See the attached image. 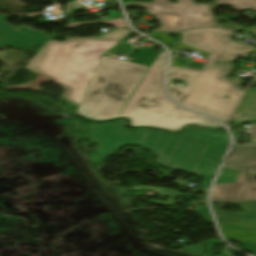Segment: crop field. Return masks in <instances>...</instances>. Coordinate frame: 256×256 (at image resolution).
I'll use <instances>...</instances> for the list:
<instances>
[{
    "label": "crop field",
    "instance_id": "5a996713",
    "mask_svg": "<svg viewBox=\"0 0 256 256\" xmlns=\"http://www.w3.org/2000/svg\"><path fill=\"white\" fill-rule=\"evenodd\" d=\"M242 184L243 183L215 185L212 192L211 201L230 202Z\"/></svg>",
    "mask_w": 256,
    "mask_h": 256
},
{
    "label": "crop field",
    "instance_id": "d8731c3e",
    "mask_svg": "<svg viewBox=\"0 0 256 256\" xmlns=\"http://www.w3.org/2000/svg\"><path fill=\"white\" fill-rule=\"evenodd\" d=\"M254 120L256 121V89L249 88L246 96L234 116V124Z\"/></svg>",
    "mask_w": 256,
    "mask_h": 256
},
{
    "label": "crop field",
    "instance_id": "5142ce71",
    "mask_svg": "<svg viewBox=\"0 0 256 256\" xmlns=\"http://www.w3.org/2000/svg\"><path fill=\"white\" fill-rule=\"evenodd\" d=\"M250 129H251V138H255L256 139V124L255 123H252L250 125Z\"/></svg>",
    "mask_w": 256,
    "mask_h": 256
},
{
    "label": "crop field",
    "instance_id": "dd49c442",
    "mask_svg": "<svg viewBox=\"0 0 256 256\" xmlns=\"http://www.w3.org/2000/svg\"><path fill=\"white\" fill-rule=\"evenodd\" d=\"M142 6L162 23V31H174L197 26H214L207 5H194L191 0H153Z\"/></svg>",
    "mask_w": 256,
    "mask_h": 256
},
{
    "label": "crop field",
    "instance_id": "412701ff",
    "mask_svg": "<svg viewBox=\"0 0 256 256\" xmlns=\"http://www.w3.org/2000/svg\"><path fill=\"white\" fill-rule=\"evenodd\" d=\"M166 61V51L161 50L118 117L130 119L131 126H151L172 131L187 123L219 127L213 120L182 109L167 99L162 87Z\"/></svg>",
    "mask_w": 256,
    "mask_h": 256
},
{
    "label": "crop field",
    "instance_id": "28ad6ade",
    "mask_svg": "<svg viewBox=\"0 0 256 256\" xmlns=\"http://www.w3.org/2000/svg\"><path fill=\"white\" fill-rule=\"evenodd\" d=\"M248 52L256 54V47L230 41L222 60L233 61L236 56L245 57Z\"/></svg>",
    "mask_w": 256,
    "mask_h": 256
},
{
    "label": "crop field",
    "instance_id": "34b2d1b8",
    "mask_svg": "<svg viewBox=\"0 0 256 256\" xmlns=\"http://www.w3.org/2000/svg\"><path fill=\"white\" fill-rule=\"evenodd\" d=\"M130 32L116 30L100 38H68L64 43L49 40L26 69L68 88L63 97L78 106L102 54Z\"/></svg>",
    "mask_w": 256,
    "mask_h": 256
},
{
    "label": "crop field",
    "instance_id": "22f410ed",
    "mask_svg": "<svg viewBox=\"0 0 256 256\" xmlns=\"http://www.w3.org/2000/svg\"><path fill=\"white\" fill-rule=\"evenodd\" d=\"M240 171L222 168L215 184L235 182Z\"/></svg>",
    "mask_w": 256,
    "mask_h": 256
},
{
    "label": "crop field",
    "instance_id": "e52e79f7",
    "mask_svg": "<svg viewBox=\"0 0 256 256\" xmlns=\"http://www.w3.org/2000/svg\"><path fill=\"white\" fill-rule=\"evenodd\" d=\"M256 145L235 146L224 167L241 170L236 182H245L232 201L256 200Z\"/></svg>",
    "mask_w": 256,
    "mask_h": 256
},
{
    "label": "crop field",
    "instance_id": "d1516ede",
    "mask_svg": "<svg viewBox=\"0 0 256 256\" xmlns=\"http://www.w3.org/2000/svg\"><path fill=\"white\" fill-rule=\"evenodd\" d=\"M218 5H230L234 10L243 12L245 9L256 11V0H216Z\"/></svg>",
    "mask_w": 256,
    "mask_h": 256
},
{
    "label": "crop field",
    "instance_id": "ac0d7876",
    "mask_svg": "<svg viewBox=\"0 0 256 256\" xmlns=\"http://www.w3.org/2000/svg\"><path fill=\"white\" fill-rule=\"evenodd\" d=\"M181 43L211 53L201 71L169 67L167 80H184L186 87L168 83L169 93L182 106L209 115L221 122L230 120L244 91L236 89L242 80L223 78L231 66L215 65L230 41L233 31L220 28L194 29L181 32ZM228 68L227 71H223ZM225 96H229L226 99Z\"/></svg>",
    "mask_w": 256,
    "mask_h": 256
},
{
    "label": "crop field",
    "instance_id": "f4fd0767",
    "mask_svg": "<svg viewBox=\"0 0 256 256\" xmlns=\"http://www.w3.org/2000/svg\"><path fill=\"white\" fill-rule=\"evenodd\" d=\"M148 67L103 56L76 113L92 120L117 117Z\"/></svg>",
    "mask_w": 256,
    "mask_h": 256
},
{
    "label": "crop field",
    "instance_id": "8a807250",
    "mask_svg": "<svg viewBox=\"0 0 256 256\" xmlns=\"http://www.w3.org/2000/svg\"><path fill=\"white\" fill-rule=\"evenodd\" d=\"M124 120L113 123L90 124L91 141L101 148L97 155L107 156L124 145H136L152 152L158 163L177 172L206 177L202 188L208 189L229 145V137L214 130L189 128L188 136L163 134L140 129L128 132ZM108 157V156H107Z\"/></svg>",
    "mask_w": 256,
    "mask_h": 256
},
{
    "label": "crop field",
    "instance_id": "cbeb9de0",
    "mask_svg": "<svg viewBox=\"0 0 256 256\" xmlns=\"http://www.w3.org/2000/svg\"><path fill=\"white\" fill-rule=\"evenodd\" d=\"M84 24H110V25H114V26L126 27L124 19L120 18V19L107 20V21H93V22H83V23L67 24L64 28L70 29V28H75L77 26L84 25Z\"/></svg>",
    "mask_w": 256,
    "mask_h": 256
},
{
    "label": "crop field",
    "instance_id": "3316defc",
    "mask_svg": "<svg viewBox=\"0 0 256 256\" xmlns=\"http://www.w3.org/2000/svg\"><path fill=\"white\" fill-rule=\"evenodd\" d=\"M131 189H134V190L156 191V192L159 193V195L170 196L171 198H170V200H169L167 203H163V202H159V201H155V200H152V201H151V202H153V203L160 204V205H164V206L174 205L173 202H172V197H175V196L194 197V196L179 194V193H178L177 191H175V190L163 189V188H158V187L138 186V187H132ZM200 191L204 193V196H203V198L197 197L198 200H206L208 190L201 189Z\"/></svg>",
    "mask_w": 256,
    "mask_h": 256
}]
</instances>
